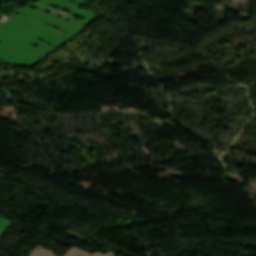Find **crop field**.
Here are the masks:
<instances>
[{
  "instance_id": "2",
  "label": "crop field",
  "mask_w": 256,
  "mask_h": 256,
  "mask_svg": "<svg viewBox=\"0 0 256 256\" xmlns=\"http://www.w3.org/2000/svg\"><path fill=\"white\" fill-rule=\"evenodd\" d=\"M114 254V252H108L105 255L101 254V253H96L94 256H112Z\"/></svg>"
},
{
  "instance_id": "1",
  "label": "crop field",
  "mask_w": 256,
  "mask_h": 256,
  "mask_svg": "<svg viewBox=\"0 0 256 256\" xmlns=\"http://www.w3.org/2000/svg\"><path fill=\"white\" fill-rule=\"evenodd\" d=\"M11 223L0 216V235L4 232V230L10 225Z\"/></svg>"
}]
</instances>
